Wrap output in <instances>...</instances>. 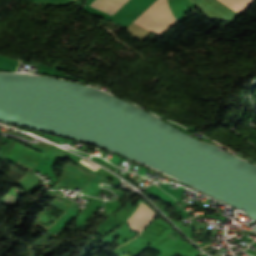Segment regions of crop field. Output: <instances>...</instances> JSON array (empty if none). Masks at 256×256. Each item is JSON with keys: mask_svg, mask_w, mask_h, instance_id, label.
Instances as JSON below:
<instances>
[{"mask_svg": "<svg viewBox=\"0 0 256 256\" xmlns=\"http://www.w3.org/2000/svg\"><path fill=\"white\" fill-rule=\"evenodd\" d=\"M165 2L170 11V8H169L166 0H165ZM165 2H164V0H157L143 14H141L135 21L144 25L145 27H147L151 30H155V31L161 33L162 31H164L166 28H168L170 25H172L174 23L171 16L173 17L174 21L176 22L171 11H170L171 16H170V13L165 5ZM155 31H153V32L156 33ZM156 34L158 35V33H156Z\"/></svg>", "mask_w": 256, "mask_h": 256, "instance_id": "crop-field-1", "label": "crop field"}, {"mask_svg": "<svg viewBox=\"0 0 256 256\" xmlns=\"http://www.w3.org/2000/svg\"><path fill=\"white\" fill-rule=\"evenodd\" d=\"M154 1L155 0H129L110 18V20L127 27Z\"/></svg>", "mask_w": 256, "mask_h": 256, "instance_id": "crop-field-2", "label": "crop field"}, {"mask_svg": "<svg viewBox=\"0 0 256 256\" xmlns=\"http://www.w3.org/2000/svg\"><path fill=\"white\" fill-rule=\"evenodd\" d=\"M154 215L155 213L151 208L141 203L128 219V224L132 230L140 232L142 228L154 217Z\"/></svg>", "mask_w": 256, "mask_h": 256, "instance_id": "crop-field-3", "label": "crop field"}, {"mask_svg": "<svg viewBox=\"0 0 256 256\" xmlns=\"http://www.w3.org/2000/svg\"><path fill=\"white\" fill-rule=\"evenodd\" d=\"M127 1L128 0H95L91 6L112 15Z\"/></svg>", "mask_w": 256, "mask_h": 256, "instance_id": "crop-field-4", "label": "crop field"}]
</instances>
